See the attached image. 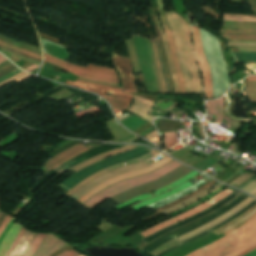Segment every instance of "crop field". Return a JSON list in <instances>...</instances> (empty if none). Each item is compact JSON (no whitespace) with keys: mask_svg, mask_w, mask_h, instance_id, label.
<instances>
[{"mask_svg":"<svg viewBox=\"0 0 256 256\" xmlns=\"http://www.w3.org/2000/svg\"><path fill=\"white\" fill-rule=\"evenodd\" d=\"M67 84L77 86V87L89 90L91 92H95V93L103 96L112 107H116V108L123 109V110H125L128 107L129 102L132 97L131 95L121 93V89H119V88L89 84V83L81 82L78 80H76L75 83L67 81ZM106 93L116 96L128 103H126L118 98L107 96V95H105Z\"/></svg>","mask_w":256,"mask_h":256,"instance_id":"obj_8","label":"crop field"},{"mask_svg":"<svg viewBox=\"0 0 256 256\" xmlns=\"http://www.w3.org/2000/svg\"><path fill=\"white\" fill-rule=\"evenodd\" d=\"M56 243H57V242H56ZM64 245H66V243L63 242V241H61V240H59L58 243H57L53 248H51V249H50L45 255H43V256H48V255H50L52 252H54L55 250H57V249L63 247Z\"/></svg>","mask_w":256,"mask_h":256,"instance_id":"obj_39","label":"crop field"},{"mask_svg":"<svg viewBox=\"0 0 256 256\" xmlns=\"http://www.w3.org/2000/svg\"><path fill=\"white\" fill-rule=\"evenodd\" d=\"M247 78H256V76H249V77H247Z\"/></svg>","mask_w":256,"mask_h":256,"instance_id":"obj_61","label":"crop field"},{"mask_svg":"<svg viewBox=\"0 0 256 256\" xmlns=\"http://www.w3.org/2000/svg\"><path fill=\"white\" fill-rule=\"evenodd\" d=\"M246 94H247V96H248V98H249L250 100L256 101V93L246 92ZM252 109H253V110H256V109H254V108H252Z\"/></svg>","mask_w":256,"mask_h":256,"instance_id":"obj_48","label":"crop field"},{"mask_svg":"<svg viewBox=\"0 0 256 256\" xmlns=\"http://www.w3.org/2000/svg\"><path fill=\"white\" fill-rule=\"evenodd\" d=\"M239 51H254L256 52V47H236Z\"/></svg>","mask_w":256,"mask_h":256,"instance_id":"obj_46","label":"crop field"},{"mask_svg":"<svg viewBox=\"0 0 256 256\" xmlns=\"http://www.w3.org/2000/svg\"><path fill=\"white\" fill-rule=\"evenodd\" d=\"M253 174H249V173H246L244 175H242L241 177L235 179L233 182L230 183V185H233V186H237L239 185L243 180H245L246 178L252 176Z\"/></svg>","mask_w":256,"mask_h":256,"instance_id":"obj_37","label":"crop field"},{"mask_svg":"<svg viewBox=\"0 0 256 256\" xmlns=\"http://www.w3.org/2000/svg\"><path fill=\"white\" fill-rule=\"evenodd\" d=\"M238 194H240V192L234 190L231 194H229L227 197L222 199L217 204L211 206L210 208H208V209H206V210H204V211H202V212H200L198 214H195V215H193V216H191L189 218H186V219H184L182 221H179V222H177V223H175L173 225H170V226H168V227H166V228H164V229H162V230H160V231H158V232H156V233H154V234H152V235H150V236H148V237H146V238H144L142 240L145 241L148 244V243L152 242L153 240L161 237L162 235H164V234H166V233H168V232H170L172 230H175L177 228H180V227L190 223L191 221H193V220H195V219H197V218H199V217H201V216H203V215H205V214H207V213H209V212H211V211H213V210L223 206L228 201H230L231 199L236 197Z\"/></svg>","mask_w":256,"mask_h":256,"instance_id":"obj_10","label":"crop field"},{"mask_svg":"<svg viewBox=\"0 0 256 256\" xmlns=\"http://www.w3.org/2000/svg\"><path fill=\"white\" fill-rule=\"evenodd\" d=\"M152 47H153V51H154L156 66H157L159 77H160L161 84H162V89H163V92H167L166 87H165V83L163 81L162 73H161V68H160V64H159V60H158V56H157L156 46H155L154 43H152Z\"/></svg>","mask_w":256,"mask_h":256,"instance_id":"obj_30","label":"crop field"},{"mask_svg":"<svg viewBox=\"0 0 256 256\" xmlns=\"http://www.w3.org/2000/svg\"><path fill=\"white\" fill-rule=\"evenodd\" d=\"M225 39H236V40H256V39H241V38H225Z\"/></svg>","mask_w":256,"mask_h":256,"instance_id":"obj_53","label":"crop field"},{"mask_svg":"<svg viewBox=\"0 0 256 256\" xmlns=\"http://www.w3.org/2000/svg\"><path fill=\"white\" fill-rule=\"evenodd\" d=\"M229 46H256V43L252 42H227Z\"/></svg>","mask_w":256,"mask_h":256,"instance_id":"obj_38","label":"crop field"},{"mask_svg":"<svg viewBox=\"0 0 256 256\" xmlns=\"http://www.w3.org/2000/svg\"><path fill=\"white\" fill-rule=\"evenodd\" d=\"M227 41H235V40H227ZM253 42H256V41H253Z\"/></svg>","mask_w":256,"mask_h":256,"instance_id":"obj_62","label":"crop field"},{"mask_svg":"<svg viewBox=\"0 0 256 256\" xmlns=\"http://www.w3.org/2000/svg\"><path fill=\"white\" fill-rule=\"evenodd\" d=\"M180 165H182V164L173 160L150 174L121 181V182L103 190L102 192L96 194L89 201H87L86 203H84L82 205L91 211L97 204L104 201L105 199H107L121 191L138 186L142 183L155 180V179L169 173L170 171H172L173 169L177 168Z\"/></svg>","mask_w":256,"mask_h":256,"instance_id":"obj_4","label":"crop field"},{"mask_svg":"<svg viewBox=\"0 0 256 256\" xmlns=\"http://www.w3.org/2000/svg\"><path fill=\"white\" fill-rule=\"evenodd\" d=\"M80 255H82V254H80L74 250H71V251L64 252L58 256H80Z\"/></svg>","mask_w":256,"mask_h":256,"instance_id":"obj_44","label":"crop field"},{"mask_svg":"<svg viewBox=\"0 0 256 256\" xmlns=\"http://www.w3.org/2000/svg\"><path fill=\"white\" fill-rule=\"evenodd\" d=\"M173 135H174V142L176 144L177 143V137L175 136L174 132H173ZM173 135H172V132L164 133V140H165V147H166V149H168L169 147L174 145Z\"/></svg>","mask_w":256,"mask_h":256,"instance_id":"obj_32","label":"crop field"},{"mask_svg":"<svg viewBox=\"0 0 256 256\" xmlns=\"http://www.w3.org/2000/svg\"><path fill=\"white\" fill-rule=\"evenodd\" d=\"M1 38H4V39H7V40H10V41H13V42H16V43H19V44H22V45H25L27 47H30V48H33V49H36V50H39V48H36V47H33V46H30V45H27V44H24V43H21V42H18V41H15V40H12V39H9V38H6V37H3V36H0Z\"/></svg>","mask_w":256,"mask_h":256,"instance_id":"obj_47","label":"crop field"},{"mask_svg":"<svg viewBox=\"0 0 256 256\" xmlns=\"http://www.w3.org/2000/svg\"><path fill=\"white\" fill-rule=\"evenodd\" d=\"M34 236L35 233L25 230L11 256H22Z\"/></svg>","mask_w":256,"mask_h":256,"instance_id":"obj_20","label":"crop field"},{"mask_svg":"<svg viewBox=\"0 0 256 256\" xmlns=\"http://www.w3.org/2000/svg\"><path fill=\"white\" fill-rule=\"evenodd\" d=\"M125 42H126V45L128 47L129 54H130L135 72H138V71H140V68H139V64H138V60H137V57H136V53H135V50H134L133 43H132L131 40H128V41H125Z\"/></svg>","mask_w":256,"mask_h":256,"instance_id":"obj_28","label":"crop field"},{"mask_svg":"<svg viewBox=\"0 0 256 256\" xmlns=\"http://www.w3.org/2000/svg\"><path fill=\"white\" fill-rule=\"evenodd\" d=\"M202 47L208 66L211 70L213 97L225 93L230 87L228 82V67L220 53V42L212 34L200 29Z\"/></svg>","mask_w":256,"mask_h":256,"instance_id":"obj_3","label":"crop field"},{"mask_svg":"<svg viewBox=\"0 0 256 256\" xmlns=\"http://www.w3.org/2000/svg\"><path fill=\"white\" fill-rule=\"evenodd\" d=\"M24 228L22 227L21 231L19 232V234L17 235L16 239L14 240V242L12 243L11 247L9 248L8 252L6 253L5 256H10L13 248L15 247V245L17 244L18 240L20 239L21 235L23 234L24 232Z\"/></svg>","mask_w":256,"mask_h":256,"instance_id":"obj_35","label":"crop field"},{"mask_svg":"<svg viewBox=\"0 0 256 256\" xmlns=\"http://www.w3.org/2000/svg\"><path fill=\"white\" fill-rule=\"evenodd\" d=\"M11 219V216H8L5 218V220L3 221V223L0 225V234L2 233V231L4 230V228L6 227V225L8 224L9 220Z\"/></svg>","mask_w":256,"mask_h":256,"instance_id":"obj_45","label":"crop field"},{"mask_svg":"<svg viewBox=\"0 0 256 256\" xmlns=\"http://www.w3.org/2000/svg\"><path fill=\"white\" fill-rule=\"evenodd\" d=\"M249 193L254 195L256 193V187L253 190H251Z\"/></svg>","mask_w":256,"mask_h":256,"instance_id":"obj_58","label":"crop field"},{"mask_svg":"<svg viewBox=\"0 0 256 256\" xmlns=\"http://www.w3.org/2000/svg\"><path fill=\"white\" fill-rule=\"evenodd\" d=\"M45 235L46 234L37 233L36 237L32 240V242L30 243L29 247L27 248V250H26V252L24 253L23 256H32L33 253L38 248L41 240L44 238Z\"/></svg>","mask_w":256,"mask_h":256,"instance_id":"obj_27","label":"crop field"},{"mask_svg":"<svg viewBox=\"0 0 256 256\" xmlns=\"http://www.w3.org/2000/svg\"><path fill=\"white\" fill-rule=\"evenodd\" d=\"M151 151H152V149H148V148L139 146V147H137L131 151L125 152L123 154L111 156L103 161L93 164V165L73 174L72 176H70L68 179H66L63 183H61L58 186L68 190L71 187H73L74 185H76L78 182H80L82 179H84L85 177H87L88 175H90L94 172L102 170V169L109 167L111 165H114L116 163L136 159V158H138L142 155H145Z\"/></svg>","mask_w":256,"mask_h":256,"instance_id":"obj_5","label":"crop field"},{"mask_svg":"<svg viewBox=\"0 0 256 256\" xmlns=\"http://www.w3.org/2000/svg\"><path fill=\"white\" fill-rule=\"evenodd\" d=\"M245 91H256V81H245Z\"/></svg>","mask_w":256,"mask_h":256,"instance_id":"obj_34","label":"crop field"},{"mask_svg":"<svg viewBox=\"0 0 256 256\" xmlns=\"http://www.w3.org/2000/svg\"><path fill=\"white\" fill-rule=\"evenodd\" d=\"M135 147H137V146L129 145V146L124 147L122 149L105 153V154H103V155H101V156H99L97 158H94V159H92V160H90V161H88V162H86L84 164L78 165L77 167L71 169V171L76 172V171H78V170H80V169H82V168H84V167H86V166H88V165H90V164H92V163H94V162L104 158V157L111 156V155H114V154H117V153H121V152L127 151V150L135 148Z\"/></svg>","mask_w":256,"mask_h":256,"instance_id":"obj_25","label":"crop field"},{"mask_svg":"<svg viewBox=\"0 0 256 256\" xmlns=\"http://www.w3.org/2000/svg\"><path fill=\"white\" fill-rule=\"evenodd\" d=\"M16 219H14L12 217L11 221L9 222V224L7 225V227L5 228V230L3 231V233L0 235V244L3 241L4 237L6 236L7 232L9 231L11 225L14 223Z\"/></svg>","mask_w":256,"mask_h":256,"instance_id":"obj_41","label":"crop field"},{"mask_svg":"<svg viewBox=\"0 0 256 256\" xmlns=\"http://www.w3.org/2000/svg\"><path fill=\"white\" fill-rule=\"evenodd\" d=\"M222 28L248 30V31H233V30L221 29L220 31L223 33L253 34V33H256V22L223 21Z\"/></svg>","mask_w":256,"mask_h":256,"instance_id":"obj_18","label":"crop field"},{"mask_svg":"<svg viewBox=\"0 0 256 256\" xmlns=\"http://www.w3.org/2000/svg\"><path fill=\"white\" fill-rule=\"evenodd\" d=\"M0 40H2V41H4V42H7V43H9V44H11V45L18 46V47H21V48H24V49L30 50V51H32V52H35V53H38V54H40V55H41V53H40L39 51H36V50L30 49V48H27V47H25V46H22V45H19V44H16V43H13V42H10V41H7V40H4V39H1V38H0Z\"/></svg>","mask_w":256,"mask_h":256,"instance_id":"obj_43","label":"crop field"},{"mask_svg":"<svg viewBox=\"0 0 256 256\" xmlns=\"http://www.w3.org/2000/svg\"><path fill=\"white\" fill-rule=\"evenodd\" d=\"M38 33H39V32H38ZM39 34H40V35H43V36H46V37H49V38H52V39L56 40L57 42H60L59 40H57V39H55V38H53V37L47 36V35L42 34V33H39Z\"/></svg>","mask_w":256,"mask_h":256,"instance_id":"obj_54","label":"crop field"},{"mask_svg":"<svg viewBox=\"0 0 256 256\" xmlns=\"http://www.w3.org/2000/svg\"><path fill=\"white\" fill-rule=\"evenodd\" d=\"M155 17H156V22H157L158 28H159V30L161 32V35H162V38H163L165 53H166V57H167V60H168V64H169V68H170V72H171V76H172V80H173V84H174V90H175V93H179L176 78H175V74H174V70H173V67H172V64H171V59H170V54H169L166 38H165V36L163 34V31L160 27L158 15L155 14Z\"/></svg>","mask_w":256,"mask_h":256,"instance_id":"obj_23","label":"crop field"},{"mask_svg":"<svg viewBox=\"0 0 256 256\" xmlns=\"http://www.w3.org/2000/svg\"><path fill=\"white\" fill-rule=\"evenodd\" d=\"M166 16L169 27L175 37L187 93H201L200 76L191 45L189 25L181 16L173 11L167 12Z\"/></svg>","mask_w":256,"mask_h":256,"instance_id":"obj_1","label":"crop field"},{"mask_svg":"<svg viewBox=\"0 0 256 256\" xmlns=\"http://www.w3.org/2000/svg\"><path fill=\"white\" fill-rule=\"evenodd\" d=\"M30 76H31V75L28 74V75L24 76L23 78L17 80V82L19 83V82L25 80L26 78H28V77H30Z\"/></svg>","mask_w":256,"mask_h":256,"instance_id":"obj_52","label":"crop field"},{"mask_svg":"<svg viewBox=\"0 0 256 256\" xmlns=\"http://www.w3.org/2000/svg\"><path fill=\"white\" fill-rule=\"evenodd\" d=\"M255 248H256V245H255V246H253L252 248H250V249L246 250L245 252H243V253H241V254L237 255V256H243L244 254L248 253L249 251H251V250H253V249H255Z\"/></svg>","mask_w":256,"mask_h":256,"instance_id":"obj_50","label":"crop field"},{"mask_svg":"<svg viewBox=\"0 0 256 256\" xmlns=\"http://www.w3.org/2000/svg\"><path fill=\"white\" fill-rule=\"evenodd\" d=\"M223 101L224 97L218 100L208 101L206 104L207 112L217 115L215 122H220L223 117Z\"/></svg>","mask_w":256,"mask_h":256,"instance_id":"obj_21","label":"crop field"},{"mask_svg":"<svg viewBox=\"0 0 256 256\" xmlns=\"http://www.w3.org/2000/svg\"><path fill=\"white\" fill-rule=\"evenodd\" d=\"M113 109V108H112ZM113 111L116 113L120 112V110L113 109Z\"/></svg>","mask_w":256,"mask_h":256,"instance_id":"obj_60","label":"crop field"},{"mask_svg":"<svg viewBox=\"0 0 256 256\" xmlns=\"http://www.w3.org/2000/svg\"><path fill=\"white\" fill-rule=\"evenodd\" d=\"M172 159H170L169 157H164L163 159L159 160L158 162H156L155 164L151 165L150 167H147V168H143V169H140V170H136V171H133V172H130V173H126V174H123V175H120L118 177H115L93 189H91L89 192H87L85 195H83L81 198H79L77 200V202L79 203H83L85 202L87 199H89L91 196H93L95 193L103 190L104 188L118 182V181H121V180H124L126 178H129V177H133V176H136V175H140V174H145V173H149L151 172L152 170L162 166L163 164L167 163L168 161H170Z\"/></svg>","mask_w":256,"mask_h":256,"instance_id":"obj_12","label":"crop field"},{"mask_svg":"<svg viewBox=\"0 0 256 256\" xmlns=\"http://www.w3.org/2000/svg\"><path fill=\"white\" fill-rule=\"evenodd\" d=\"M191 28H192V34H193L194 47H195L197 61L200 66L201 72L203 74V81H204L206 97H212L210 71L208 69V66L206 64V61H205V58L203 55L199 30L197 27H194L192 25H191Z\"/></svg>","mask_w":256,"mask_h":256,"instance_id":"obj_14","label":"crop field"},{"mask_svg":"<svg viewBox=\"0 0 256 256\" xmlns=\"http://www.w3.org/2000/svg\"><path fill=\"white\" fill-rule=\"evenodd\" d=\"M7 60L6 58H4L2 55H0V63Z\"/></svg>","mask_w":256,"mask_h":256,"instance_id":"obj_56","label":"crop field"},{"mask_svg":"<svg viewBox=\"0 0 256 256\" xmlns=\"http://www.w3.org/2000/svg\"><path fill=\"white\" fill-rule=\"evenodd\" d=\"M244 256H256V249L249 252L248 254L244 255Z\"/></svg>","mask_w":256,"mask_h":256,"instance_id":"obj_51","label":"crop field"},{"mask_svg":"<svg viewBox=\"0 0 256 256\" xmlns=\"http://www.w3.org/2000/svg\"><path fill=\"white\" fill-rule=\"evenodd\" d=\"M256 244V218L248 224L187 256H235Z\"/></svg>","mask_w":256,"mask_h":256,"instance_id":"obj_2","label":"crop field"},{"mask_svg":"<svg viewBox=\"0 0 256 256\" xmlns=\"http://www.w3.org/2000/svg\"><path fill=\"white\" fill-rule=\"evenodd\" d=\"M25 74H27V73H25V72L22 71V72H20L19 74L15 75V76H13V77H11V78L6 79L5 81H3V82L0 83V87H2V86H4V85H6V84H8V83H10V82H12V81L18 79L19 77H21V76H23V75H25Z\"/></svg>","mask_w":256,"mask_h":256,"instance_id":"obj_36","label":"crop field"},{"mask_svg":"<svg viewBox=\"0 0 256 256\" xmlns=\"http://www.w3.org/2000/svg\"><path fill=\"white\" fill-rule=\"evenodd\" d=\"M44 58L46 61H48L54 65L60 66L75 75H79L81 77L92 79V80L119 83L118 77H117L114 69L94 66V65H90V64L88 65L87 68H83V67H79V66L73 65L71 63L65 62L58 58L52 57L45 53H44Z\"/></svg>","mask_w":256,"mask_h":256,"instance_id":"obj_6","label":"crop field"},{"mask_svg":"<svg viewBox=\"0 0 256 256\" xmlns=\"http://www.w3.org/2000/svg\"><path fill=\"white\" fill-rule=\"evenodd\" d=\"M154 41H155V44L157 46L158 56H159V60H160V64H161V68H162V72H163V77H164V80H165V83H166L167 91H168V93H170L168 78H167V76L165 74L163 59H162V55L160 53V48H159V44L157 42L156 37L154 38Z\"/></svg>","mask_w":256,"mask_h":256,"instance_id":"obj_31","label":"crop field"},{"mask_svg":"<svg viewBox=\"0 0 256 256\" xmlns=\"http://www.w3.org/2000/svg\"><path fill=\"white\" fill-rule=\"evenodd\" d=\"M230 192H232V190L225 189L224 191H222L221 193H219L215 197H213L210 200L206 201L205 203L201 204L200 206H198V207H196V208H194V209H192V210H190V211H188V212H186V213H184V214H182L180 216H177V217L172 218V219H170L168 221H165V222H163L161 224H158V225H156V226H154V227H152V228H150V229H148V230H146V231H144V232H142L140 234L145 237V236H147V235H149V234H151V233H153V232H155V231H157V230H159V229H161L163 227H166V226H168V225H170V224H172L174 222H177V221H179V220H181V219H183L185 217L193 215V214H195V213H197V212H199V211H201V210H203V209H205V208L215 204L216 202H218L219 200H221L222 198L227 196Z\"/></svg>","mask_w":256,"mask_h":256,"instance_id":"obj_15","label":"crop field"},{"mask_svg":"<svg viewBox=\"0 0 256 256\" xmlns=\"http://www.w3.org/2000/svg\"><path fill=\"white\" fill-rule=\"evenodd\" d=\"M21 226L18 224H15L12 226L10 229L9 233L7 234L6 238L4 239L3 243L0 246V256H4L5 253L7 252L8 248L10 247L11 243L15 239L16 235L20 231Z\"/></svg>","mask_w":256,"mask_h":256,"instance_id":"obj_22","label":"crop field"},{"mask_svg":"<svg viewBox=\"0 0 256 256\" xmlns=\"http://www.w3.org/2000/svg\"><path fill=\"white\" fill-rule=\"evenodd\" d=\"M82 256H84V255H82Z\"/></svg>","mask_w":256,"mask_h":256,"instance_id":"obj_64","label":"crop field"},{"mask_svg":"<svg viewBox=\"0 0 256 256\" xmlns=\"http://www.w3.org/2000/svg\"><path fill=\"white\" fill-rule=\"evenodd\" d=\"M149 166L147 163L145 162H141L139 164H134V165H129V166H125V167H121V168H117L114 171H110L104 175H102L101 177L87 183L86 185H84L83 187H81L80 189H78L77 191L74 192V194L72 196H70L72 199H74L75 201L82 196L83 194H85L87 191H89L91 188H93L94 186L112 178L115 176H118L120 174L129 172V171H133L139 168H143Z\"/></svg>","mask_w":256,"mask_h":256,"instance_id":"obj_13","label":"crop field"},{"mask_svg":"<svg viewBox=\"0 0 256 256\" xmlns=\"http://www.w3.org/2000/svg\"><path fill=\"white\" fill-rule=\"evenodd\" d=\"M234 61H256V53L253 52H231Z\"/></svg>","mask_w":256,"mask_h":256,"instance_id":"obj_26","label":"crop field"},{"mask_svg":"<svg viewBox=\"0 0 256 256\" xmlns=\"http://www.w3.org/2000/svg\"><path fill=\"white\" fill-rule=\"evenodd\" d=\"M224 188H225V186L222 185L218 190H216V191H214L213 193L209 194V195L206 196L205 198H203V199H201V200H199V201H197V202H195V203H193V204H191V205H189V206H187V207H185V208H183V209H181V210H179V211H177V212H175V213H173V214H171V215H169V216L172 217V216H174V215H176V214H178V213H180V212H182V211H184V210H187V209H189V208H191V207H193V206L199 204L200 202H202V201H204V200H206V199H208V198L214 196L216 193H218L219 191H221V190L224 189Z\"/></svg>","mask_w":256,"mask_h":256,"instance_id":"obj_29","label":"crop field"},{"mask_svg":"<svg viewBox=\"0 0 256 256\" xmlns=\"http://www.w3.org/2000/svg\"><path fill=\"white\" fill-rule=\"evenodd\" d=\"M189 171H191V169L182 165L158 180H155V181L147 183L145 185L130 189L124 193L113 196L110 199L114 200L115 202H117L119 204L123 203L139 194H143L148 191L155 190V189L177 179L178 177L184 175L185 173H187Z\"/></svg>","mask_w":256,"mask_h":256,"instance_id":"obj_7","label":"crop field"},{"mask_svg":"<svg viewBox=\"0 0 256 256\" xmlns=\"http://www.w3.org/2000/svg\"><path fill=\"white\" fill-rule=\"evenodd\" d=\"M197 173L198 172L192 171L189 174H187L186 176L182 177L181 179H179V180H177V181H175V182H173V183H171V184H169V185H167L165 187H162V188H160L158 190H155V196H157V195H159V194H161V193H163V192H165V191H167L169 189H172V188H174V187L184 183L185 181L193 178ZM150 197H153V196L150 193H148V194L136 197V198H134V199H132V200H130L128 202H125V203L121 204V205H118V206L114 207V209L120 211V210H122V209H124V208H126V207H128V206H130L132 204H135V203H137V202H139L141 200L143 201V200H145L147 198H150Z\"/></svg>","mask_w":256,"mask_h":256,"instance_id":"obj_16","label":"crop field"},{"mask_svg":"<svg viewBox=\"0 0 256 256\" xmlns=\"http://www.w3.org/2000/svg\"><path fill=\"white\" fill-rule=\"evenodd\" d=\"M255 212H256V209L253 210L251 213L247 214L246 216H244L243 218H241L240 220H238L237 222H235L234 224H232L231 226H229V227L223 229L222 231H220V232H218V233H216V234H214V235L218 236V235H220L221 233H223V232H225V231L231 229L232 227H234L235 225L239 224L240 222H242L243 220H245L246 218H248L249 216H251V215H252L253 213H255Z\"/></svg>","mask_w":256,"mask_h":256,"instance_id":"obj_33","label":"crop field"},{"mask_svg":"<svg viewBox=\"0 0 256 256\" xmlns=\"http://www.w3.org/2000/svg\"><path fill=\"white\" fill-rule=\"evenodd\" d=\"M255 185H256V182L253 181V182H251L249 185H247L245 188H243V190H245V191L248 192V191L251 190Z\"/></svg>","mask_w":256,"mask_h":256,"instance_id":"obj_49","label":"crop field"},{"mask_svg":"<svg viewBox=\"0 0 256 256\" xmlns=\"http://www.w3.org/2000/svg\"><path fill=\"white\" fill-rule=\"evenodd\" d=\"M156 1H157L158 9H159V12H160V16H161L162 27H163V29L166 33V37H167V41H168V45H169V49H170V53H171V59H172L173 67H174V70H175V73H176V76H177L179 91H180V93H186L182 70H181V67H180L179 60H178L177 55H176L174 38H173L172 33H171V31L168 27L167 20H166V17H165V13H164L163 0H156Z\"/></svg>","mask_w":256,"mask_h":256,"instance_id":"obj_9","label":"crop field"},{"mask_svg":"<svg viewBox=\"0 0 256 256\" xmlns=\"http://www.w3.org/2000/svg\"><path fill=\"white\" fill-rule=\"evenodd\" d=\"M220 185H221V184H219L217 187L213 188L212 190H210V191L207 192L206 194H204V195H202V196H200V197H198V198H196V199L190 201L191 199L195 198L196 196H198V195H200L201 193H203V192H205V191H207V190L210 189V188H207V189L203 190L202 192H200L199 194H197V195H195V196H193V197H191V198H189V199H187V200H185V201H183V202H181V203H179V204H177V205H175V206H173V207H171V208H169V209H167V210H164V211H162V212H160V213H158V214H156V215H153V216H151V217L145 219L144 221H146V220H148V219H150V218H153V217H155V216H157V215H160V214H162V213H164V212H166V211H168V210H170V209H173V208H175V207H177V206H180V205H182V204H184V203L190 201V202H188V203H186V204H184V205H182V206H180V207H178V208H175V209H173V210L167 212L166 214L173 213V212H175V211H177V210H179V209H181V208H183V207H185V206L191 204L192 202L198 200L199 198H201V197H203V196H205V195H207V194L213 192V191L216 190Z\"/></svg>","mask_w":256,"mask_h":256,"instance_id":"obj_24","label":"crop field"},{"mask_svg":"<svg viewBox=\"0 0 256 256\" xmlns=\"http://www.w3.org/2000/svg\"><path fill=\"white\" fill-rule=\"evenodd\" d=\"M3 212L0 211V216L2 215Z\"/></svg>","mask_w":256,"mask_h":256,"instance_id":"obj_63","label":"crop field"},{"mask_svg":"<svg viewBox=\"0 0 256 256\" xmlns=\"http://www.w3.org/2000/svg\"><path fill=\"white\" fill-rule=\"evenodd\" d=\"M157 140H159V138H158V136L157 137H155V138H153V139H151V140H149V141H151V142H156Z\"/></svg>","mask_w":256,"mask_h":256,"instance_id":"obj_55","label":"crop field"},{"mask_svg":"<svg viewBox=\"0 0 256 256\" xmlns=\"http://www.w3.org/2000/svg\"><path fill=\"white\" fill-rule=\"evenodd\" d=\"M112 60L122 80V86H123L122 92L124 93L136 92L135 83L133 81L135 77L132 74V69H131L129 59L126 57H121L113 51Z\"/></svg>","mask_w":256,"mask_h":256,"instance_id":"obj_11","label":"crop field"},{"mask_svg":"<svg viewBox=\"0 0 256 256\" xmlns=\"http://www.w3.org/2000/svg\"><path fill=\"white\" fill-rule=\"evenodd\" d=\"M77 79H78V80L85 81V82H89V83H95V84H101V85H108V86H114V87H119V88H121L120 85H117V84L96 82V81H91V80H87V79L80 78V77H78Z\"/></svg>","mask_w":256,"mask_h":256,"instance_id":"obj_42","label":"crop field"},{"mask_svg":"<svg viewBox=\"0 0 256 256\" xmlns=\"http://www.w3.org/2000/svg\"><path fill=\"white\" fill-rule=\"evenodd\" d=\"M255 217H256V213L254 215H252L251 217H249L248 219H246L245 221H243L242 223H240L239 225H237L236 227H234L231 230L227 231L223 235L225 236V235L229 234L230 232L236 230L237 228H239V227L243 226L244 224H246L247 222L251 221Z\"/></svg>","mask_w":256,"mask_h":256,"instance_id":"obj_40","label":"crop field"},{"mask_svg":"<svg viewBox=\"0 0 256 256\" xmlns=\"http://www.w3.org/2000/svg\"><path fill=\"white\" fill-rule=\"evenodd\" d=\"M8 62H10V61L7 60V61L1 63V64H0V67L3 66V65H5V64L8 63Z\"/></svg>","mask_w":256,"mask_h":256,"instance_id":"obj_59","label":"crop field"},{"mask_svg":"<svg viewBox=\"0 0 256 256\" xmlns=\"http://www.w3.org/2000/svg\"><path fill=\"white\" fill-rule=\"evenodd\" d=\"M191 185H193V184L190 183L189 181H187L184 184H182V185H180V186H178V187H176V188H174V189H172V190H170V191H168V192H166L164 194H161V195H159V196H157L155 198H152V199L145 200V201H143V202H141V203H139V204H137V205H135V206H133L131 208H133V209L138 211V210L142 209L143 207H145V206H147V205H149V204H151V203H153L155 201H158V200L163 199L165 197H168V196H170L172 194L180 192V191L186 189L187 187H189Z\"/></svg>","mask_w":256,"mask_h":256,"instance_id":"obj_19","label":"crop field"},{"mask_svg":"<svg viewBox=\"0 0 256 256\" xmlns=\"http://www.w3.org/2000/svg\"><path fill=\"white\" fill-rule=\"evenodd\" d=\"M87 149L85 147H83L82 145H77L61 154H59L58 156L54 157L53 159H51L50 161H48L44 166L45 168L48 170V172L50 170H52L54 167L60 165L61 163L85 152Z\"/></svg>","mask_w":256,"mask_h":256,"instance_id":"obj_17","label":"crop field"},{"mask_svg":"<svg viewBox=\"0 0 256 256\" xmlns=\"http://www.w3.org/2000/svg\"><path fill=\"white\" fill-rule=\"evenodd\" d=\"M10 65H12V63H11V62H10V63H8L7 65H5V66L1 67V68H0V70L4 69V68H6V67H8V66H10Z\"/></svg>","mask_w":256,"mask_h":256,"instance_id":"obj_57","label":"crop field"}]
</instances>
